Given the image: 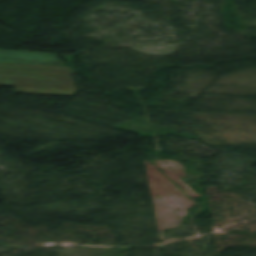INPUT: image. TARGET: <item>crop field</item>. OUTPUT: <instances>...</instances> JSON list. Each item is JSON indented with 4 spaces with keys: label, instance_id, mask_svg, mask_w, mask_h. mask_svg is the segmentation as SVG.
Listing matches in <instances>:
<instances>
[{
    "label": "crop field",
    "instance_id": "1",
    "mask_svg": "<svg viewBox=\"0 0 256 256\" xmlns=\"http://www.w3.org/2000/svg\"><path fill=\"white\" fill-rule=\"evenodd\" d=\"M0 85L16 86L15 93L72 96L71 74L55 54L0 50Z\"/></svg>",
    "mask_w": 256,
    "mask_h": 256
}]
</instances>
